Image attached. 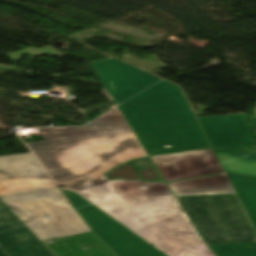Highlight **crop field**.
<instances>
[{"label": "crop field", "instance_id": "7", "mask_svg": "<svg viewBox=\"0 0 256 256\" xmlns=\"http://www.w3.org/2000/svg\"><path fill=\"white\" fill-rule=\"evenodd\" d=\"M90 65L116 105L161 80L116 58L91 62Z\"/></svg>", "mask_w": 256, "mask_h": 256}, {"label": "crop field", "instance_id": "21", "mask_svg": "<svg viewBox=\"0 0 256 256\" xmlns=\"http://www.w3.org/2000/svg\"><path fill=\"white\" fill-rule=\"evenodd\" d=\"M6 254H7V252L2 248V247H0ZM8 255V254H7ZM9 256V255H8Z\"/></svg>", "mask_w": 256, "mask_h": 256}, {"label": "crop field", "instance_id": "1", "mask_svg": "<svg viewBox=\"0 0 256 256\" xmlns=\"http://www.w3.org/2000/svg\"><path fill=\"white\" fill-rule=\"evenodd\" d=\"M101 208L170 256H215L197 235L165 183L97 177L79 191Z\"/></svg>", "mask_w": 256, "mask_h": 256}, {"label": "crop field", "instance_id": "14", "mask_svg": "<svg viewBox=\"0 0 256 256\" xmlns=\"http://www.w3.org/2000/svg\"><path fill=\"white\" fill-rule=\"evenodd\" d=\"M215 153L225 173L256 177V148L222 149Z\"/></svg>", "mask_w": 256, "mask_h": 256}, {"label": "crop field", "instance_id": "3", "mask_svg": "<svg viewBox=\"0 0 256 256\" xmlns=\"http://www.w3.org/2000/svg\"><path fill=\"white\" fill-rule=\"evenodd\" d=\"M117 108L149 155L211 148L180 86L167 80Z\"/></svg>", "mask_w": 256, "mask_h": 256}, {"label": "crop field", "instance_id": "6", "mask_svg": "<svg viewBox=\"0 0 256 256\" xmlns=\"http://www.w3.org/2000/svg\"><path fill=\"white\" fill-rule=\"evenodd\" d=\"M65 196L81 214L93 233L116 255L167 256L72 191Z\"/></svg>", "mask_w": 256, "mask_h": 256}, {"label": "crop field", "instance_id": "18", "mask_svg": "<svg viewBox=\"0 0 256 256\" xmlns=\"http://www.w3.org/2000/svg\"><path fill=\"white\" fill-rule=\"evenodd\" d=\"M100 174H102V173L94 174V175H91V176L84 177V178H82V179H80L78 181H75V182L69 184L67 186V188H71V189H74V190L78 191V190L81 189L80 188L81 185L87 183L88 181H90L91 179H93V178H95L97 176H100Z\"/></svg>", "mask_w": 256, "mask_h": 256}, {"label": "crop field", "instance_id": "16", "mask_svg": "<svg viewBox=\"0 0 256 256\" xmlns=\"http://www.w3.org/2000/svg\"><path fill=\"white\" fill-rule=\"evenodd\" d=\"M208 246L217 256H256V242Z\"/></svg>", "mask_w": 256, "mask_h": 256}, {"label": "crop field", "instance_id": "4", "mask_svg": "<svg viewBox=\"0 0 256 256\" xmlns=\"http://www.w3.org/2000/svg\"><path fill=\"white\" fill-rule=\"evenodd\" d=\"M60 186L146 154L132 130L27 144Z\"/></svg>", "mask_w": 256, "mask_h": 256}, {"label": "crop field", "instance_id": "2", "mask_svg": "<svg viewBox=\"0 0 256 256\" xmlns=\"http://www.w3.org/2000/svg\"><path fill=\"white\" fill-rule=\"evenodd\" d=\"M17 195L30 196L4 202L39 239L90 231L31 153L0 157V199ZM47 214L53 218L43 217Z\"/></svg>", "mask_w": 256, "mask_h": 256}, {"label": "crop field", "instance_id": "17", "mask_svg": "<svg viewBox=\"0 0 256 256\" xmlns=\"http://www.w3.org/2000/svg\"><path fill=\"white\" fill-rule=\"evenodd\" d=\"M127 162L130 163L133 167H141V166H147L151 164L148 158V155L138 156Z\"/></svg>", "mask_w": 256, "mask_h": 256}, {"label": "crop field", "instance_id": "15", "mask_svg": "<svg viewBox=\"0 0 256 256\" xmlns=\"http://www.w3.org/2000/svg\"><path fill=\"white\" fill-rule=\"evenodd\" d=\"M256 230V179L228 175Z\"/></svg>", "mask_w": 256, "mask_h": 256}, {"label": "crop field", "instance_id": "13", "mask_svg": "<svg viewBox=\"0 0 256 256\" xmlns=\"http://www.w3.org/2000/svg\"><path fill=\"white\" fill-rule=\"evenodd\" d=\"M174 196L234 193L226 175L169 183Z\"/></svg>", "mask_w": 256, "mask_h": 256}, {"label": "crop field", "instance_id": "22", "mask_svg": "<svg viewBox=\"0 0 256 256\" xmlns=\"http://www.w3.org/2000/svg\"><path fill=\"white\" fill-rule=\"evenodd\" d=\"M255 112H256V108H255Z\"/></svg>", "mask_w": 256, "mask_h": 256}, {"label": "crop field", "instance_id": "8", "mask_svg": "<svg viewBox=\"0 0 256 256\" xmlns=\"http://www.w3.org/2000/svg\"><path fill=\"white\" fill-rule=\"evenodd\" d=\"M150 158L166 182L224 173L213 150L182 152Z\"/></svg>", "mask_w": 256, "mask_h": 256}, {"label": "crop field", "instance_id": "10", "mask_svg": "<svg viewBox=\"0 0 256 256\" xmlns=\"http://www.w3.org/2000/svg\"><path fill=\"white\" fill-rule=\"evenodd\" d=\"M213 149L255 145L245 114L198 118Z\"/></svg>", "mask_w": 256, "mask_h": 256}, {"label": "crop field", "instance_id": "20", "mask_svg": "<svg viewBox=\"0 0 256 256\" xmlns=\"http://www.w3.org/2000/svg\"><path fill=\"white\" fill-rule=\"evenodd\" d=\"M108 187H109V185H108ZM109 189L111 190V188L109 187ZM112 191V190H111ZM112 193H113V191H112ZM114 194V193H113ZM115 195V194H114ZM115 197H116V195H115ZM117 198V197H116ZM118 199V198H117ZM106 205V204H105ZM102 206V205H101Z\"/></svg>", "mask_w": 256, "mask_h": 256}, {"label": "crop field", "instance_id": "11", "mask_svg": "<svg viewBox=\"0 0 256 256\" xmlns=\"http://www.w3.org/2000/svg\"><path fill=\"white\" fill-rule=\"evenodd\" d=\"M128 129H130V127L123 118L122 114L116 108L85 127H56L39 129V131L42 134L44 140H48Z\"/></svg>", "mask_w": 256, "mask_h": 256}, {"label": "crop field", "instance_id": "9", "mask_svg": "<svg viewBox=\"0 0 256 256\" xmlns=\"http://www.w3.org/2000/svg\"><path fill=\"white\" fill-rule=\"evenodd\" d=\"M0 246L10 256H55L3 201H0ZM0 256L7 255L0 249Z\"/></svg>", "mask_w": 256, "mask_h": 256}, {"label": "crop field", "instance_id": "5", "mask_svg": "<svg viewBox=\"0 0 256 256\" xmlns=\"http://www.w3.org/2000/svg\"><path fill=\"white\" fill-rule=\"evenodd\" d=\"M176 199L206 244L256 241V235L234 194Z\"/></svg>", "mask_w": 256, "mask_h": 256}, {"label": "crop field", "instance_id": "19", "mask_svg": "<svg viewBox=\"0 0 256 256\" xmlns=\"http://www.w3.org/2000/svg\"><path fill=\"white\" fill-rule=\"evenodd\" d=\"M252 119H253V124H254L255 132H256V117H252Z\"/></svg>", "mask_w": 256, "mask_h": 256}, {"label": "crop field", "instance_id": "12", "mask_svg": "<svg viewBox=\"0 0 256 256\" xmlns=\"http://www.w3.org/2000/svg\"><path fill=\"white\" fill-rule=\"evenodd\" d=\"M57 240L54 244L44 241L57 256H116L92 232Z\"/></svg>", "mask_w": 256, "mask_h": 256}]
</instances>
